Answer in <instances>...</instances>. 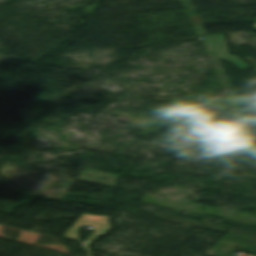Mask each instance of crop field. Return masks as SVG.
<instances>
[{
    "mask_svg": "<svg viewBox=\"0 0 256 256\" xmlns=\"http://www.w3.org/2000/svg\"><path fill=\"white\" fill-rule=\"evenodd\" d=\"M109 219L110 217L84 214L73 225V227L66 232V234L63 237L78 240L86 248L88 255L91 256L89 244L94 239H96L100 234L105 235L111 230V227L108 222ZM83 226L93 227V231H94V233L85 241V243H82L80 241L79 234H78L79 229Z\"/></svg>",
    "mask_w": 256,
    "mask_h": 256,
    "instance_id": "8a807250",
    "label": "crop field"
},
{
    "mask_svg": "<svg viewBox=\"0 0 256 256\" xmlns=\"http://www.w3.org/2000/svg\"><path fill=\"white\" fill-rule=\"evenodd\" d=\"M208 49L209 51L218 52L219 57H221L226 62H232L240 69H248L251 68L238 60L233 55H230L228 49L226 47L223 34H215V35H205Z\"/></svg>",
    "mask_w": 256,
    "mask_h": 256,
    "instance_id": "ac0d7876",
    "label": "crop field"
}]
</instances>
